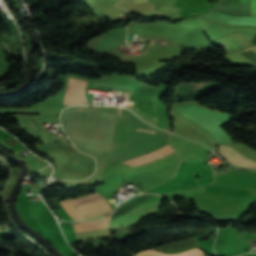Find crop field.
<instances>
[{"instance_id":"crop-field-1","label":"crop field","mask_w":256,"mask_h":256,"mask_svg":"<svg viewBox=\"0 0 256 256\" xmlns=\"http://www.w3.org/2000/svg\"><path fill=\"white\" fill-rule=\"evenodd\" d=\"M55 145H57L59 148L74 158L70 163L66 165V167L85 176L94 167L95 161L93 158L80 153L64 140Z\"/></svg>"},{"instance_id":"crop-field-2","label":"crop field","mask_w":256,"mask_h":256,"mask_svg":"<svg viewBox=\"0 0 256 256\" xmlns=\"http://www.w3.org/2000/svg\"><path fill=\"white\" fill-rule=\"evenodd\" d=\"M158 201L138 207L124 214L123 216L111 221L109 228L120 227V226H125L127 224H131L134 221L138 220L139 218L143 217L144 215L155 212Z\"/></svg>"},{"instance_id":"crop-field-3","label":"crop field","mask_w":256,"mask_h":256,"mask_svg":"<svg viewBox=\"0 0 256 256\" xmlns=\"http://www.w3.org/2000/svg\"><path fill=\"white\" fill-rule=\"evenodd\" d=\"M228 52L239 51L254 45L238 31L214 39Z\"/></svg>"},{"instance_id":"crop-field-4","label":"crop field","mask_w":256,"mask_h":256,"mask_svg":"<svg viewBox=\"0 0 256 256\" xmlns=\"http://www.w3.org/2000/svg\"><path fill=\"white\" fill-rule=\"evenodd\" d=\"M85 81L70 79L63 104H86L85 102Z\"/></svg>"},{"instance_id":"crop-field-5","label":"crop field","mask_w":256,"mask_h":256,"mask_svg":"<svg viewBox=\"0 0 256 256\" xmlns=\"http://www.w3.org/2000/svg\"><path fill=\"white\" fill-rule=\"evenodd\" d=\"M98 196H101V195H99L97 193H93V194H90L88 196L80 197V198H77V199L61 201V204L65 208V210L68 212V214L72 217L73 220H92V219H97V218H100V217L110 213L113 210L110 209L111 211L107 210L108 212H104V213H101V214H98V215H95V216L83 219L81 217V215L79 214V212L75 209V207L73 205L81 203V202H84V201H87L89 199H92V198H95V197H98Z\"/></svg>"},{"instance_id":"crop-field-6","label":"crop field","mask_w":256,"mask_h":256,"mask_svg":"<svg viewBox=\"0 0 256 256\" xmlns=\"http://www.w3.org/2000/svg\"><path fill=\"white\" fill-rule=\"evenodd\" d=\"M82 217L93 215L111 207L103 196L75 205Z\"/></svg>"},{"instance_id":"crop-field-7","label":"crop field","mask_w":256,"mask_h":256,"mask_svg":"<svg viewBox=\"0 0 256 256\" xmlns=\"http://www.w3.org/2000/svg\"><path fill=\"white\" fill-rule=\"evenodd\" d=\"M219 152L225 159H227L233 165L236 164L240 166L256 168L255 161L247 159L229 145H219Z\"/></svg>"},{"instance_id":"crop-field-8","label":"crop field","mask_w":256,"mask_h":256,"mask_svg":"<svg viewBox=\"0 0 256 256\" xmlns=\"http://www.w3.org/2000/svg\"><path fill=\"white\" fill-rule=\"evenodd\" d=\"M174 150L169 146H165V147H162L160 149H157L155 151H152L150 153H147V154H144L142 156H139V157H136L134 159H131V160H128V161H125L123 163H128V164H133V165H137V164H141V163H144V162H147V161H151V160H154L156 158H159L161 156H164L168 153H171L173 152Z\"/></svg>"},{"instance_id":"crop-field-9","label":"crop field","mask_w":256,"mask_h":256,"mask_svg":"<svg viewBox=\"0 0 256 256\" xmlns=\"http://www.w3.org/2000/svg\"><path fill=\"white\" fill-rule=\"evenodd\" d=\"M108 219L71 224L73 233L106 229Z\"/></svg>"},{"instance_id":"crop-field-10","label":"crop field","mask_w":256,"mask_h":256,"mask_svg":"<svg viewBox=\"0 0 256 256\" xmlns=\"http://www.w3.org/2000/svg\"><path fill=\"white\" fill-rule=\"evenodd\" d=\"M194 247H198V244L196 243L194 238H191V239L179 241L176 243L160 246L159 248H160L161 252L174 253V252H178V251L191 249Z\"/></svg>"},{"instance_id":"crop-field-11","label":"crop field","mask_w":256,"mask_h":256,"mask_svg":"<svg viewBox=\"0 0 256 256\" xmlns=\"http://www.w3.org/2000/svg\"><path fill=\"white\" fill-rule=\"evenodd\" d=\"M155 9L176 13V14H179V12L182 10V8L180 7H173V6L160 5V4H157Z\"/></svg>"},{"instance_id":"crop-field-12","label":"crop field","mask_w":256,"mask_h":256,"mask_svg":"<svg viewBox=\"0 0 256 256\" xmlns=\"http://www.w3.org/2000/svg\"><path fill=\"white\" fill-rule=\"evenodd\" d=\"M26 121H27L28 124L33 128V130H34L35 132L40 131V130H43L42 126L37 122V120H36L35 118L27 119ZM26 121H25V122H26ZM27 122H26V123H27ZM32 128H31V129H32Z\"/></svg>"},{"instance_id":"crop-field-13","label":"crop field","mask_w":256,"mask_h":256,"mask_svg":"<svg viewBox=\"0 0 256 256\" xmlns=\"http://www.w3.org/2000/svg\"><path fill=\"white\" fill-rule=\"evenodd\" d=\"M251 14L256 15V0L251 2Z\"/></svg>"},{"instance_id":"crop-field-14","label":"crop field","mask_w":256,"mask_h":256,"mask_svg":"<svg viewBox=\"0 0 256 256\" xmlns=\"http://www.w3.org/2000/svg\"><path fill=\"white\" fill-rule=\"evenodd\" d=\"M116 1H118V0H116Z\"/></svg>"}]
</instances>
